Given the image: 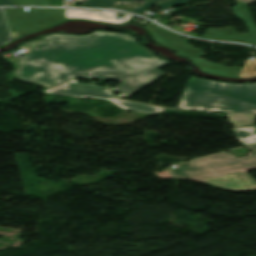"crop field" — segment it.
<instances>
[{
	"instance_id": "crop-field-11",
	"label": "crop field",
	"mask_w": 256,
	"mask_h": 256,
	"mask_svg": "<svg viewBox=\"0 0 256 256\" xmlns=\"http://www.w3.org/2000/svg\"><path fill=\"white\" fill-rule=\"evenodd\" d=\"M230 124L235 127L247 126L254 124L255 115L227 114Z\"/></svg>"
},
{
	"instance_id": "crop-field-16",
	"label": "crop field",
	"mask_w": 256,
	"mask_h": 256,
	"mask_svg": "<svg viewBox=\"0 0 256 256\" xmlns=\"http://www.w3.org/2000/svg\"><path fill=\"white\" fill-rule=\"evenodd\" d=\"M0 5H13L12 0H0Z\"/></svg>"
},
{
	"instance_id": "crop-field-15",
	"label": "crop field",
	"mask_w": 256,
	"mask_h": 256,
	"mask_svg": "<svg viewBox=\"0 0 256 256\" xmlns=\"http://www.w3.org/2000/svg\"><path fill=\"white\" fill-rule=\"evenodd\" d=\"M188 1L189 0H172V1H168V2L158 3V5L162 8H165V7H171V6L184 5V4L188 3Z\"/></svg>"
},
{
	"instance_id": "crop-field-8",
	"label": "crop field",
	"mask_w": 256,
	"mask_h": 256,
	"mask_svg": "<svg viewBox=\"0 0 256 256\" xmlns=\"http://www.w3.org/2000/svg\"><path fill=\"white\" fill-rule=\"evenodd\" d=\"M66 19H87V20H97L111 22L115 24H121L129 19L131 15L125 14L124 20H115L117 12L111 11H93V10H82V9H65Z\"/></svg>"
},
{
	"instance_id": "crop-field-6",
	"label": "crop field",
	"mask_w": 256,
	"mask_h": 256,
	"mask_svg": "<svg viewBox=\"0 0 256 256\" xmlns=\"http://www.w3.org/2000/svg\"><path fill=\"white\" fill-rule=\"evenodd\" d=\"M45 93H53L75 97H93L112 101L113 104L122 109L132 110L143 113L163 112V108L154 107L146 104L122 101L114 98L108 87L87 85L76 83V78L55 88L44 91Z\"/></svg>"
},
{
	"instance_id": "crop-field-2",
	"label": "crop field",
	"mask_w": 256,
	"mask_h": 256,
	"mask_svg": "<svg viewBox=\"0 0 256 256\" xmlns=\"http://www.w3.org/2000/svg\"><path fill=\"white\" fill-rule=\"evenodd\" d=\"M248 148L252 152L246 158H236L225 152L199 158L189 162L188 166L168 171L175 178L191 179L227 190L252 191L256 189V181L246 172L256 169V145Z\"/></svg>"
},
{
	"instance_id": "crop-field-10",
	"label": "crop field",
	"mask_w": 256,
	"mask_h": 256,
	"mask_svg": "<svg viewBox=\"0 0 256 256\" xmlns=\"http://www.w3.org/2000/svg\"><path fill=\"white\" fill-rule=\"evenodd\" d=\"M233 130L243 145L256 142V126L234 128Z\"/></svg>"
},
{
	"instance_id": "crop-field-18",
	"label": "crop field",
	"mask_w": 256,
	"mask_h": 256,
	"mask_svg": "<svg viewBox=\"0 0 256 256\" xmlns=\"http://www.w3.org/2000/svg\"><path fill=\"white\" fill-rule=\"evenodd\" d=\"M238 1L248 3V2L253 1V0H238Z\"/></svg>"
},
{
	"instance_id": "crop-field-14",
	"label": "crop field",
	"mask_w": 256,
	"mask_h": 256,
	"mask_svg": "<svg viewBox=\"0 0 256 256\" xmlns=\"http://www.w3.org/2000/svg\"><path fill=\"white\" fill-rule=\"evenodd\" d=\"M14 5H49V0H13Z\"/></svg>"
},
{
	"instance_id": "crop-field-17",
	"label": "crop field",
	"mask_w": 256,
	"mask_h": 256,
	"mask_svg": "<svg viewBox=\"0 0 256 256\" xmlns=\"http://www.w3.org/2000/svg\"><path fill=\"white\" fill-rule=\"evenodd\" d=\"M118 2L133 3V2H135V1H133V0H117V2H116V3H118Z\"/></svg>"
},
{
	"instance_id": "crop-field-7",
	"label": "crop field",
	"mask_w": 256,
	"mask_h": 256,
	"mask_svg": "<svg viewBox=\"0 0 256 256\" xmlns=\"http://www.w3.org/2000/svg\"><path fill=\"white\" fill-rule=\"evenodd\" d=\"M233 9L237 17L246 21L250 29L248 35H240L235 31L234 28H228V29L208 28V30L203 34V36L205 38L246 42V43L256 45V26L253 22V19L246 5L238 3Z\"/></svg>"
},
{
	"instance_id": "crop-field-5",
	"label": "crop field",
	"mask_w": 256,
	"mask_h": 256,
	"mask_svg": "<svg viewBox=\"0 0 256 256\" xmlns=\"http://www.w3.org/2000/svg\"><path fill=\"white\" fill-rule=\"evenodd\" d=\"M150 22L145 27L152 30L153 37L156 42L174 48L179 55L189 56L192 62L199 65L203 70L219 75L233 77L239 76L242 68H227L220 64H214L202 60L198 57L202 56L203 52L199 49H194L190 45H187L180 41L179 39L181 38V35L172 33Z\"/></svg>"
},
{
	"instance_id": "crop-field-13",
	"label": "crop field",
	"mask_w": 256,
	"mask_h": 256,
	"mask_svg": "<svg viewBox=\"0 0 256 256\" xmlns=\"http://www.w3.org/2000/svg\"><path fill=\"white\" fill-rule=\"evenodd\" d=\"M9 34H8V30L5 24V20L2 14V11L0 9V44L9 40Z\"/></svg>"
},
{
	"instance_id": "crop-field-4",
	"label": "crop field",
	"mask_w": 256,
	"mask_h": 256,
	"mask_svg": "<svg viewBox=\"0 0 256 256\" xmlns=\"http://www.w3.org/2000/svg\"><path fill=\"white\" fill-rule=\"evenodd\" d=\"M5 13L13 39L65 19L64 9L30 8V12H21L8 8Z\"/></svg>"
},
{
	"instance_id": "crop-field-12",
	"label": "crop field",
	"mask_w": 256,
	"mask_h": 256,
	"mask_svg": "<svg viewBox=\"0 0 256 256\" xmlns=\"http://www.w3.org/2000/svg\"><path fill=\"white\" fill-rule=\"evenodd\" d=\"M256 75V60L246 62L240 77H250Z\"/></svg>"
},
{
	"instance_id": "crop-field-3",
	"label": "crop field",
	"mask_w": 256,
	"mask_h": 256,
	"mask_svg": "<svg viewBox=\"0 0 256 256\" xmlns=\"http://www.w3.org/2000/svg\"><path fill=\"white\" fill-rule=\"evenodd\" d=\"M178 108L256 113V84H231L192 76Z\"/></svg>"
},
{
	"instance_id": "crop-field-9",
	"label": "crop field",
	"mask_w": 256,
	"mask_h": 256,
	"mask_svg": "<svg viewBox=\"0 0 256 256\" xmlns=\"http://www.w3.org/2000/svg\"><path fill=\"white\" fill-rule=\"evenodd\" d=\"M141 1H145V4L141 8L131 10V12L142 15L147 8L152 6V4L157 2H162V1H168V0H141ZM115 2L116 0H88L87 2H83L82 6L114 8Z\"/></svg>"
},
{
	"instance_id": "crop-field-1",
	"label": "crop field",
	"mask_w": 256,
	"mask_h": 256,
	"mask_svg": "<svg viewBox=\"0 0 256 256\" xmlns=\"http://www.w3.org/2000/svg\"><path fill=\"white\" fill-rule=\"evenodd\" d=\"M169 63L140 46L137 38L125 34H52L21 60L16 74L24 81L48 87L77 76L121 80L112 90L121 92L117 97L122 98L165 75L158 68Z\"/></svg>"
}]
</instances>
